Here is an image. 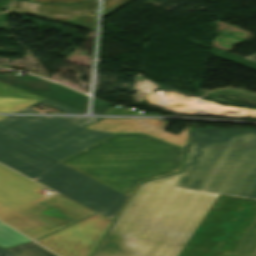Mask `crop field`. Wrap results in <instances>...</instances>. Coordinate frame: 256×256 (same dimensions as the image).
Instances as JSON below:
<instances>
[{"label": "crop field", "mask_w": 256, "mask_h": 256, "mask_svg": "<svg viewBox=\"0 0 256 256\" xmlns=\"http://www.w3.org/2000/svg\"><path fill=\"white\" fill-rule=\"evenodd\" d=\"M255 217L256 130L194 129L183 174L141 184L92 256H239Z\"/></svg>", "instance_id": "8a807250"}, {"label": "crop field", "mask_w": 256, "mask_h": 256, "mask_svg": "<svg viewBox=\"0 0 256 256\" xmlns=\"http://www.w3.org/2000/svg\"><path fill=\"white\" fill-rule=\"evenodd\" d=\"M184 151L145 134H115L57 162L0 133V163L108 218L139 182L179 172Z\"/></svg>", "instance_id": "ac0d7876"}, {"label": "crop field", "mask_w": 256, "mask_h": 256, "mask_svg": "<svg viewBox=\"0 0 256 256\" xmlns=\"http://www.w3.org/2000/svg\"><path fill=\"white\" fill-rule=\"evenodd\" d=\"M44 187L0 165V220L34 240L77 222L93 212L58 195L38 193Z\"/></svg>", "instance_id": "34b2d1b8"}, {"label": "crop field", "mask_w": 256, "mask_h": 256, "mask_svg": "<svg viewBox=\"0 0 256 256\" xmlns=\"http://www.w3.org/2000/svg\"><path fill=\"white\" fill-rule=\"evenodd\" d=\"M98 118L9 116L0 121V132L60 161L110 135L85 130Z\"/></svg>", "instance_id": "412701ff"}, {"label": "crop field", "mask_w": 256, "mask_h": 256, "mask_svg": "<svg viewBox=\"0 0 256 256\" xmlns=\"http://www.w3.org/2000/svg\"><path fill=\"white\" fill-rule=\"evenodd\" d=\"M112 222L97 214L37 241L60 256H89Z\"/></svg>", "instance_id": "f4fd0767"}, {"label": "crop field", "mask_w": 256, "mask_h": 256, "mask_svg": "<svg viewBox=\"0 0 256 256\" xmlns=\"http://www.w3.org/2000/svg\"><path fill=\"white\" fill-rule=\"evenodd\" d=\"M97 5V0L75 5H42L14 1L11 11L30 14L75 26L95 29Z\"/></svg>", "instance_id": "dd49c442"}, {"label": "crop field", "mask_w": 256, "mask_h": 256, "mask_svg": "<svg viewBox=\"0 0 256 256\" xmlns=\"http://www.w3.org/2000/svg\"><path fill=\"white\" fill-rule=\"evenodd\" d=\"M168 122L155 119H104L85 129L111 133H145L184 148L190 128L186 127L180 135L176 136L163 131Z\"/></svg>", "instance_id": "e52e79f7"}, {"label": "crop field", "mask_w": 256, "mask_h": 256, "mask_svg": "<svg viewBox=\"0 0 256 256\" xmlns=\"http://www.w3.org/2000/svg\"><path fill=\"white\" fill-rule=\"evenodd\" d=\"M0 82L78 109L80 111H86V96L61 85L47 82L35 77L15 75H0Z\"/></svg>", "instance_id": "d8731c3e"}, {"label": "crop field", "mask_w": 256, "mask_h": 256, "mask_svg": "<svg viewBox=\"0 0 256 256\" xmlns=\"http://www.w3.org/2000/svg\"><path fill=\"white\" fill-rule=\"evenodd\" d=\"M27 241L31 240L0 222V247L5 248Z\"/></svg>", "instance_id": "5a996713"}, {"label": "crop field", "mask_w": 256, "mask_h": 256, "mask_svg": "<svg viewBox=\"0 0 256 256\" xmlns=\"http://www.w3.org/2000/svg\"><path fill=\"white\" fill-rule=\"evenodd\" d=\"M18 256H56L45 248L39 246L38 244L32 242L17 246L14 248L6 249Z\"/></svg>", "instance_id": "3316defc"}, {"label": "crop field", "mask_w": 256, "mask_h": 256, "mask_svg": "<svg viewBox=\"0 0 256 256\" xmlns=\"http://www.w3.org/2000/svg\"><path fill=\"white\" fill-rule=\"evenodd\" d=\"M36 102L38 101L29 99L0 97V112H17Z\"/></svg>", "instance_id": "28ad6ade"}, {"label": "crop field", "mask_w": 256, "mask_h": 256, "mask_svg": "<svg viewBox=\"0 0 256 256\" xmlns=\"http://www.w3.org/2000/svg\"><path fill=\"white\" fill-rule=\"evenodd\" d=\"M256 250V222L248 232L247 236L241 243L236 254L252 256Z\"/></svg>", "instance_id": "d1516ede"}, {"label": "crop field", "mask_w": 256, "mask_h": 256, "mask_svg": "<svg viewBox=\"0 0 256 256\" xmlns=\"http://www.w3.org/2000/svg\"><path fill=\"white\" fill-rule=\"evenodd\" d=\"M0 96L30 98V99H38V100L44 99L39 96L30 94L28 92L19 90L17 88L11 87L3 83H0Z\"/></svg>", "instance_id": "22f410ed"}, {"label": "crop field", "mask_w": 256, "mask_h": 256, "mask_svg": "<svg viewBox=\"0 0 256 256\" xmlns=\"http://www.w3.org/2000/svg\"><path fill=\"white\" fill-rule=\"evenodd\" d=\"M40 103H43V104H45L47 106H50V107H52L54 109H57V110H59V111H61L63 113H83V112H80L78 110L66 107L64 105L52 102V101L47 100V99L41 100L38 103H36V104H34V105H32V106H30V107L20 111V112L39 113V112H37V111H35V110L31 109V108L36 106V105H38V104H40Z\"/></svg>", "instance_id": "cbeb9de0"}, {"label": "crop field", "mask_w": 256, "mask_h": 256, "mask_svg": "<svg viewBox=\"0 0 256 256\" xmlns=\"http://www.w3.org/2000/svg\"><path fill=\"white\" fill-rule=\"evenodd\" d=\"M130 0H104V11L103 16L109 15L115 10L123 7Z\"/></svg>", "instance_id": "5142ce71"}, {"label": "crop field", "mask_w": 256, "mask_h": 256, "mask_svg": "<svg viewBox=\"0 0 256 256\" xmlns=\"http://www.w3.org/2000/svg\"><path fill=\"white\" fill-rule=\"evenodd\" d=\"M106 115H149V116H161L157 114H137L131 110H121L117 108H109L106 112Z\"/></svg>", "instance_id": "d9b57169"}, {"label": "crop field", "mask_w": 256, "mask_h": 256, "mask_svg": "<svg viewBox=\"0 0 256 256\" xmlns=\"http://www.w3.org/2000/svg\"><path fill=\"white\" fill-rule=\"evenodd\" d=\"M110 106L111 104L95 100L93 105V112L96 114H104Z\"/></svg>", "instance_id": "733c2abd"}, {"label": "crop field", "mask_w": 256, "mask_h": 256, "mask_svg": "<svg viewBox=\"0 0 256 256\" xmlns=\"http://www.w3.org/2000/svg\"><path fill=\"white\" fill-rule=\"evenodd\" d=\"M37 2H47V3H76L80 1H85V0H33Z\"/></svg>", "instance_id": "4a817a6b"}, {"label": "crop field", "mask_w": 256, "mask_h": 256, "mask_svg": "<svg viewBox=\"0 0 256 256\" xmlns=\"http://www.w3.org/2000/svg\"><path fill=\"white\" fill-rule=\"evenodd\" d=\"M0 256H16V255H14L6 250L0 249Z\"/></svg>", "instance_id": "bc2a9ffb"}, {"label": "crop field", "mask_w": 256, "mask_h": 256, "mask_svg": "<svg viewBox=\"0 0 256 256\" xmlns=\"http://www.w3.org/2000/svg\"><path fill=\"white\" fill-rule=\"evenodd\" d=\"M247 59H250V60H253L256 62V55H252V56H249V57H245Z\"/></svg>", "instance_id": "214f88e0"}, {"label": "crop field", "mask_w": 256, "mask_h": 256, "mask_svg": "<svg viewBox=\"0 0 256 256\" xmlns=\"http://www.w3.org/2000/svg\"><path fill=\"white\" fill-rule=\"evenodd\" d=\"M5 117H7V116H0V120L3 119V118H5Z\"/></svg>", "instance_id": "92a150f3"}, {"label": "crop field", "mask_w": 256, "mask_h": 256, "mask_svg": "<svg viewBox=\"0 0 256 256\" xmlns=\"http://www.w3.org/2000/svg\"><path fill=\"white\" fill-rule=\"evenodd\" d=\"M253 256H256V251H255V253L253 254Z\"/></svg>", "instance_id": "dafd665d"}]
</instances>
